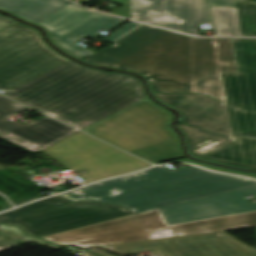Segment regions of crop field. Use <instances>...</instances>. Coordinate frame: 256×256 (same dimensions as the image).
<instances>
[{
    "instance_id": "1",
    "label": "crop field",
    "mask_w": 256,
    "mask_h": 256,
    "mask_svg": "<svg viewBox=\"0 0 256 256\" xmlns=\"http://www.w3.org/2000/svg\"><path fill=\"white\" fill-rule=\"evenodd\" d=\"M4 95L80 130L145 98L137 79L70 61Z\"/></svg>"
},
{
    "instance_id": "2",
    "label": "crop field",
    "mask_w": 256,
    "mask_h": 256,
    "mask_svg": "<svg viewBox=\"0 0 256 256\" xmlns=\"http://www.w3.org/2000/svg\"><path fill=\"white\" fill-rule=\"evenodd\" d=\"M251 185L256 181L195 167L172 171L159 166L61 195L73 202L92 200L138 213Z\"/></svg>"
},
{
    "instance_id": "3",
    "label": "crop field",
    "mask_w": 256,
    "mask_h": 256,
    "mask_svg": "<svg viewBox=\"0 0 256 256\" xmlns=\"http://www.w3.org/2000/svg\"><path fill=\"white\" fill-rule=\"evenodd\" d=\"M83 61L148 77L155 92L189 93L187 36L143 25Z\"/></svg>"
},
{
    "instance_id": "4",
    "label": "crop field",
    "mask_w": 256,
    "mask_h": 256,
    "mask_svg": "<svg viewBox=\"0 0 256 256\" xmlns=\"http://www.w3.org/2000/svg\"><path fill=\"white\" fill-rule=\"evenodd\" d=\"M256 227V212L168 225L159 209L42 237L82 248Z\"/></svg>"
},
{
    "instance_id": "5",
    "label": "crop field",
    "mask_w": 256,
    "mask_h": 256,
    "mask_svg": "<svg viewBox=\"0 0 256 256\" xmlns=\"http://www.w3.org/2000/svg\"><path fill=\"white\" fill-rule=\"evenodd\" d=\"M171 116L149 98L82 130L153 164L182 158Z\"/></svg>"
},
{
    "instance_id": "6",
    "label": "crop field",
    "mask_w": 256,
    "mask_h": 256,
    "mask_svg": "<svg viewBox=\"0 0 256 256\" xmlns=\"http://www.w3.org/2000/svg\"><path fill=\"white\" fill-rule=\"evenodd\" d=\"M121 207L62 196L36 201L0 215V223L18 225L30 235L42 237L119 217L132 215Z\"/></svg>"
},
{
    "instance_id": "7",
    "label": "crop field",
    "mask_w": 256,
    "mask_h": 256,
    "mask_svg": "<svg viewBox=\"0 0 256 256\" xmlns=\"http://www.w3.org/2000/svg\"><path fill=\"white\" fill-rule=\"evenodd\" d=\"M67 60L38 31L16 22L0 32V90L6 92Z\"/></svg>"
},
{
    "instance_id": "8",
    "label": "crop field",
    "mask_w": 256,
    "mask_h": 256,
    "mask_svg": "<svg viewBox=\"0 0 256 256\" xmlns=\"http://www.w3.org/2000/svg\"><path fill=\"white\" fill-rule=\"evenodd\" d=\"M43 152L70 171L89 172L80 175L88 182L139 170L150 165L81 132Z\"/></svg>"
},
{
    "instance_id": "9",
    "label": "crop field",
    "mask_w": 256,
    "mask_h": 256,
    "mask_svg": "<svg viewBox=\"0 0 256 256\" xmlns=\"http://www.w3.org/2000/svg\"><path fill=\"white\" fill-rule=\"evenodd\" d=\"M101 248L120 255L154 250L157 256H256L255 249L225 232L101 246ZM87 251L101 256H115L99 249Z\"/></svg>"
},
{
    "instance_id": "10",
    "label": "crop field",
    "mask_w": 256,
    "mask_h": 256,
    "mask_svg": "<svg viewBox=\"0 0 256 256\" xmlns=\"http://www.w3.org/2000/svg\"><path fill=\"white\" fill-rule=\"evenodd\" d=\"M126 21L68 5L38 25L49 31L52 41L59 48L82 59L84 56L79 54L80 52L88 55L93 53L76 45V42L86 36L95 38L101 35L98 33L101 30L112 31Z\"/></svg>"
},
{
    "instance_id": "11",
    "label": "crop field",
    "mask_w": 256,
    "mask_h": 256,
    "mask_svg": "<svg viewBox=\"0 0 256 256\" xmlns=\"http://www.w3.org/2000/svg\"><path fill=\"white\" fill-rule=\"evenodd\" d=\"M256 196V186L242 188L170 207L161 208L168 224L256 211V203L243 197Z\"/></svg>"
},
{
    "instance_id": "12",
    "label": "crop field",
    "mask_w": 256,
    "mask_h": 256,
    "mask_svg": "<svg viewBox=\"0 0 256 256\" xmlns=\"http://www.w3.org/2000/svg\"><path fill=\"white\" fill-rule=\"evenodd\" d=\"M190 93L227 103L213 38L188 37Z\"/></svg>"
},
{
    "instance_id": "13",
    "label": "crop field",
    "mask_w": 256,
    "mask_h": 256,
    "mask_svg": "<svg viewBox=\"0 0 256 256\" xmlns=\"http://www.w3.org/2000/svg\"><path fill=\"white\" fill-rule=\"evenodd\" d=\"M19 104L0 96V131L25 139L44 148L78 132L46 116L21 126L7 118L15 115L8 110Z\"/></svg>"
},
{
    "instance_id": "14",
    "label": "crop field",
    "mask_w": 256,
    "mask_h": 256,
    "mask_svg": "<svg viewBox=\"0 0 256 256\" xmlns=\"http://www.w3.org/2000/svg\"><path fill=\"white\" fill-rule=\"evenodd\" d=\"M173 108L183 113V120L180 123L218 135H232L227 104L218 103L203 94H188Z\"/></svg>"
},
{
    "instance_id": "15",
    "label": "crop field",
    "mask_w": 256,
    "mask_h": 256,
    "mask_svg": "<svg viewBox=\"0 0 256 256\" xmlns=\"http://www.w3.org/2000/svg\"><path fill=\"white\" fill-rule=\"evenodd\" d=\"M133 19L187 33L186 0H130Z\"/></svg>"
},
{
    "instance_id": "16",
    "label": "crop field",
    "mask_w": 256,
    "mask_h": 256,
    "mask_svg": "<svg viewBox=\"0 0 256 256\" xmlns=\"http://www.w3.org/2000/svg\"><path fill=\"white\" fill-rule=\"evenodd\" d=\"M235 142L196 158L230 166L256 169V139L234 136Z\"/></svg>"
},
{
    "instance_id": "17",
    "label": "crop field",
    "mask_w": 256,
    "mask_h": 256,
    "mask_svg": "<svg viewBox=\"0 0 256 256\" xmlns=\"http://www.w3.org/2000/svg\"><path fill=\"white\" fill-rule=\"evenodd\" d=\"M228 106L256 111V72L222 73Z\"/></svg>"
},
{
    "instance_id": "18",
    "label": "crop field",
    "mask_w": 256,
    "mask_h": 256,
    "mask_svg": "<svg viewBox=\"0 0 256 256\" xmlns=\"http://www.w3.org/2000/svg\"><path fill=\"white\" fill-rule=\"evenodd\" d=\"M67 0H0V8L33 23H40L66 5Z\"/></svg>"
},
{
    "instance_id": "19",
    "label": "crop field",
    "mask_w": 256,
    "mask_h": 256,
    "mask_svg": "<svg viewBox=\"0 0 256 256\" xmlns=\"http://www.w3.org/2000/svg\"><path fill=\"white\" fill-rule=\"evenodd\" d=\"M179 128L185 133L189 152L194 157L234 141L233 136H218L183 124Z\"/></svg>"
},
{
    "instance_id": "20",
    "label": "crop field",
    "mask_w": 256,
    "mask_h": 256,
    "mask_svg": "<svg viewBox=\"0 0 256 256\" xmlns=\"http://www.w3.org/2000/svg\"><path fill=\"white\" fill-rule=\"evenodd\" d=\"M216 36H242L237 7H209Z\"/></svg>"
},
{
    "instance_id": "21",
    "label": "crop field",
    "mask_w": 256,
    "mask_h": 256,
    "mask_svg": "<svg viewBox=\"0 0 256 256\" xmlns=\"http://www.w3.org/2000/svg\"><path fill=\"white\" fill-rule=\"evenodd\" d=\"M239 70L256 71V39L233 38Z\"/></svg>"
},
{
    "instance_id": "22",
    "label": "crop field",
    "mask_w": 256,
    "mask_h": 256,
    "mask_svg": "<svg viewBox=\"0 0 256 256\" xmlns=\"http://www.w3.org/2000/svg\"><path fill=\"white\" fill-rule=\"evenodd\" d=\"M229 112L234 135L256 138V112L234 108H229Z\"/></svg>"
},
{
    "instance_id": "23",
    "label": "crop field",
    "mask_w": 256,
    "mask_h": 256,
    "mask_svg": "<svg viewBox=\"0 0 256 256\" xmlns=\"http://www.w3.org/2000/svg\"><path fill=\"white\" fill-rule=\"evenodd\" d=\"M222 72H239L231 38H214Z\"/></svg>"
},
{
    "instance_id": "24",
    "label": "crop field",
    "mask_w": 256,
    "mask_h": 256,
    "mask_svg": "<svg viewBox=\"0 0 256 256\" xmlns=\"http://www.w3.org/2000/svg\"><path fill=\"white\" fill-rule=\"evenodd\" d=\"M207 21L209 20L205 0H187L188 33L198 35L197 28Z\"/></svg>"
},
{
    "instance_id": "25",
    "label": "crop field",
    "mask_w": 256,
    "mask_h": 256,
    "mask_svg": "<svg viewBox=\"0 0 256 256\" xmlns=\"http://www.w3.org/2000/svg\"><path fill=\"white\" fill-rule=\"evenodd\" d=\"M243 36H256V2L237 0Z\"/></svg>"
},
{
    "instance_id": "26",
    "label": "crop field",
    "mask_w": 256,
    "mask_h": 256,
    "mask_svg": "<svg viewBox=\"0 0 256 256\" xmlns=\"http://www.w3.org/2000/svg\"><path fill=\"white\" fill-rule=\"evenodd\" d=\"M0 228L6 232H9L17 237H20L22 239H25V240H28V241H31V242H34V243H38V244H42V245H46V246H50V247H54V248H63V247H66V246H60V245H52V244H49L45 241H42L38 238H33V237H30V236H27L25 235L24 233H22L19 229H17L16 227H6L4 225H0ZM66 248H69V249H73V250H79L75 247H66Z\"/></svg>"
},
{
    "instance_id": "27",
    "label": "crop field",
    "mask_w": 256,
    "mask_h": 256,
    "mask_svg": "<svg viewBox=\"0 0 256 256\" xmlns=\"http://www.w3.org/2000/svg\"><path fill=\"white\" fill-rule=\"evenodd\" d=\"M141 25L142 24L130 21L129 23L125 24L124 26H122L118 30H116L113 33H111L110 35H108L102 41H106V42L112 43V42L120 39L121 37L125 36L129 32L133 31L134 29L138 28Z\"/></svg>"
},
{
    "instance_id": "28",
    "label": "crop field",
    "mask_w": 256,
    "mask_h": 256,
    "mask_svg": "<svg viewBox=\"0 0 256 256\" xmlns=\"http://www.w3.org/2000/svg\"><path fill=\"white\" fill-rule=\"evenodd\" d=\"M0 137L3 138V139H6V140H8L12 143H15V144H17L21 147H24V148H26V149L34 152V153H37V152L41 151L42 149H44V148L33 145L31 143H28L24 140L18 139L16 137L12 136V135H9V134L3 133V132H0Z\"/></svg>"
},
{
    "instance_id": "29",
    "label": "crop field",
    "mask_w": 256,
    "mask_h": 256,
    "mask_svg": "<svg viewBox=\"0 0 256 256\" xmlns=\"http://www.w3.org/2000/svg\"><path fill=\"white\" fill-rule=\"evenodd\" d=\"M25 243L24 241L0 231V251Z\"/></svg>"
},
{
    "instance_id": "30",
    "label": "crop field",
    "mask_w": 256,
    "mask_h": 256,
    "mask_svg": "<svg viewBox=\"0 0 256 256\" xmlns=\"http://www.w3.org/2000/svg\"><path fill=\"white\" fill-rule=\"evenodd\" d=\"M159 100L167 103L170 106H175L176 104H178L180 101H182L187 94H181V95H162L159 93L155 94Z\"/></svg>"
},
{
    "instance_id": "31",
    "label": "crop field",
    "mask_w": 256,
    "mask_h": 256,
    "mask_svg": "<svg viewBox=\"0 0 256 256\" xmlns=\"http://www.w3.org/2000/svg\"><path fill=\"white\" fill-rule=\"evenodd\" d=\"M209 6H237L236 0H208Z\"/></svg>"
},
{
    "instance_id": "32",
    "label": "crop field",
    "mask_w": 256,
    "mask_h": 256,
    "mask_svg": "<svg viewBox=\"0 0 256 256\" xmlns=\"http://www.w3.org/2000/svg\"><path fill=\"white\" fill-rule=\"evenodd\" d=\"M195 165H198V166H201V167H204V168H208V169H212V170H216V171H221V172H226V173H231V174H236V175L256 178V175H253V174H246V173H241V172L227 171V170H223V169H219V168H215V167H211V166H207V165H203V164H199V163H196Z\"/></svg>"
},
{
    "instance_id": "33",
    "label": "crop field",
    "mask_w": 256,
    "mask_h": 256,
    "mask_svg": "<svg viewBox=\"0 0 256 256\" xmlns=\"http://www.w3.org/2000/svg\"><path fill=\"white\" fill-rule=\"evenodd\" d=\"M12 23H14L13 20L3 16V15H0V30L8 27L9 25H11Z\"/></svg>"
},
{
    "instance_id": "34",
    "label": "crop field",
    "mask_w": 256,
    "mask_h": 256,
    "mask_svg": "<svg viewBox=\"0 0 256 256\" xmlns=\"http://www.w3.org/2000/svg\"><path fill=\"white\" fill-rule=\"evenodd\" d=\"M25 108H26V107L20 105V106H18V107H16V108L12 109V110H10V111H11V112H14V113H17V112H19V111H21V110H23V109H25Z\"/></svg>"
},
{
    "instance_id": "35",
    "label": "crop field",
    "mask_w": 256,
    "mask_h": 256,
    "mask_svg": "<svg viewBox=\"0 0 256 256\" xmlns=\"http://www.w3.org/2000/svg\"><path fill=\"white\" fill-rule=\"evenodd\" d=\"M80 253H82V254H80L78 256H97V255L90 254V253H88L86 251H81Z\"/></svg>"
},
{
    "instance_id": "36",
    "label": "crop field",
    "mask_w": 256,
    "mask_h": 256,
    "mask_svg": "<svg viewBox=\"0 0 256 256\" xmlns=\"http://www.w3.org/2000/svg\"><path fill=\"white\" fill-rule=\"evenodd\" d=\"M255 231H256V228H255Z\"/></svg>"
}]
</instances>
